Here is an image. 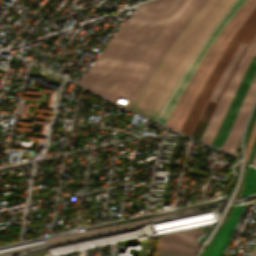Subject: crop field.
<instances>
[{
    "mask_svg": "<svg viewBox=\"0 0 256 256\" xmlns=\"http://www.w3.org/2000/svg\"><path fill=\"white\" fill-rule=\"evenodd\" d=\"M183 1L154 0L141 5L123 23L79 83L111 100Z\"/></svg>",
    "mask_w": 256,
    "mask_h": 256,
    "instance_id": "obj_1",
    "label": "crop field"
},
{
    "mask_svg": "<svg viewBox=\"0 0 256 256\" xmlns=\"http://www.w3.org/2000/svg\"><path fill=\"white\" fill-rule=\"evenodd\" d=\"M232 2H204L157 65L130 110L155 119L189 60Z\"/></svg>",
    "mask_w": 256,
    "mask_h": 256,
    "instance_id": "obj_2",
    "label": "crop field"
},
{
    "mask_svg": "<svg viewBox=\"0 0 256 256\" xmlns=\"http://www.w3.org/2000/svg\"><path fill=\"white\" fill-rule=\"evenodd\" d=\"M255 7L256 0H246L239 10L233 15L207 53L203 62L185 89L181 99L176 104L172 114L165 122V125L179 131L186 115L228 47L234 34L239 30L241 24L246 20Z\"/></svg>",
    "mask_w": 256,
    "mask_h": 256,
    "instance_id": "obj_3",
    "label": "crop field"
},
{
    "mask_svg": "<svg viewBox=\"0 0 256 256\" xmlns=\"http://www.w3.org/2000/svg\"><path fill=\"white\" fill-rule=\"evenodd\" d=\"M256 34V8L244 22L241 29L235 34L231 44L227 48L226 52L222 56L206 85L204 86L202 92L194 103L192 109L190 110L182 128L181 132L190 135L203 107L205 106L212 90L214 89L220 75L226 68L234 50L240 42L250 44L252 38ZM180 132V133H181Z\"/></svg>",
    "mask_w": 256,
    "mask_h": 256,
    "instance_id": "obj_4",
    "label": "crop field"
},
{
    "mask_svg": "<svg viewBox=\"0 0 256 256\" xmlns=\"http://www.w3.org/2000/svg\"><path fill=\"white\" fill-rule=\"evenodd\" d=\"M197 1L198 0H186L180 6V8L177 10V12L165 26V28L153 41L147 52L144 54V56L141 58V60L138 62L135 68L132 70L128 78L116 92L111 101L116 102L119 96L128 98V96L131 94V92L135 88L136 84L138 83L142 75L145 73V71L148 69L150 64L155 59V57L164 47L171 34L179 26L183 18L192 9V7L196 4Z\"/></svg>",
    "mask_w": 256,
    "mask_h": 256,
    "instance_id": "obj_5",
    "label": "crop field"
},
{
    "mask_svg": "<svg viewBox=\"0 0 256 256\" xmlns=\"http://www.w3.org/2000/svg\"><path fill=\"white\" fill-rule=\"evenodd\" d=\"M244 1L245 0H234V2L229 7L227 12L223 14L221 19L218 21L215 27L211 30V32L205 38L201 47L199 48L196 55L194 56L192 62L190 61L191 63L189 64L184 74L182 75V77L180 78V80L172 90L171 94L169 95L168 99L166 100L165 104L163 105L162 109L160 110L155 120L164 124L166 119L169 117L174 105L179 100L181 94L183 93L187 84L189 83L195 71L197 70L198 66L200 65L201 61L205 57L206 53L208 52V50L210 49L214 41L216 40L218 34L226 25L228 20L232 17V15L237 11V9L243 4Z\"/></svg>",
    "mask_w": 256,
    "mask_h": 256,
    "instance_id": "obj_6",
    "label": "crop field"
},
{
    "mask_svg": "<svg viewBox=\"0 0 256 256\" xmlns=\"http://www.w3.org/2000/svg\"><path fill=\"white\" fill-rule=\"evenodd\" d=\"M255 97H256V73L250 83L247 94L236 115L234 125L230 133L228 134L222 146V149L229 151L233 154L235 153L241 132L243 130L244 124L246 122L247 116L249 114V111L251 109V106L254 102Z\"/></svg>",
    "mask_w": 256,
    "mask_h": 256,
    "instance_id": "obj_7",
    "label": "crop field"
},
{
    "mask_svg": "<svg viewBox=\"0 0 256 256\" xmlns=\"http://www.w3.org/2000/svg\"><path fill=\"white\" fill-rule=\"evenodd\" d=\"M202 230L189 229L159 237L157 249L196 255L198 244L195 237Z\"/></svg>",
    "mask_w": 256,
    "mask_h": 256,
    "instance_id": "obj_8",
    "label": "crop field"
},
{
    "mask_svg": "<svg viewBox=\"0 0 256 256\" xmlns=\"http://www.w3.org/2000/svg\"><path fill=\"white\" fill-rule=\"evenodd\" d=\"M256 70V61L252 60L243 79H242V82L239 86V89L234 97V100H233V103L230 107V110L228 112V115L225 119V122L218 134V136L216 137L215 139V142L219 143L222 145L224 139L226 138L228 132H229V129L234 121V118H235V115H236V112L241 104V101L247 91V88L249 86V83L252 79V76L254 74Z\"/></svg>",
    "mask_w": 256,
    "mask_h": 256,
    "instance_id": "obj_9",
    "label": "crop field"
},
{
    "mask_svg": "<svg viewBox=\"0 0 256 256\" xmlns=\"http://www.w3.org/2000/svg\"><path fill=\"white\" fill-rule=\"evenodd\" d=\"M205 0H199L197 4L194 6V8L190 11V13L187 15V17L184 19V21L181 23L179 28L176 30L174 35L171 37V39L168 41L166 46L163 48L161 53L158 55V57L155 59V61L152 63V65L149 67L139 84L136 86L130 97L127 99L126 103L124 104V107L130 108L131 104L135 100L136 96L140 92V90L143 88L145 83L147 82L149 76L151 75L152 71L156 67V65L159 63L163 55L166 53L168 50L169 46L173 43V41L176 39L180 31L183 29V27L187 24V22L190 20V18L195 14V12L200 8V6L203 4Z\"/></svg>",
    "mask_w": 256,
    "mask_h": 256,
    "instance_id": "obj_10",
    "label": "crop field"
},
{
    "mask_svg": "<svg viewBox=\"0 0 256 256\" xmlns=\"http://www.w3.org/2000/svg\"><path fill=\"white\" fill-rule=\"evenodd\" d=\"M243 206H234L232 212L225 221V224L210 256H222Z\"/></svg>",
    "mask_w": 256,
    "mask_h": 256,
    "instance_id": "obj_11",
    "label": "crop field"
},
{
    "mask_svg": "<svg viewBox=\"0 0 256 256\" xmlns=\"http://www.w3.org/2000/svg\"><path fill=\"white\" fill-rule=\"evenodd\" d=\"M255 42H256V36L254 37L253 41L251 42V44H250L248 50H247V51L245 52V54L243 55V57H242V59H241L239 65H238V67H237V69H236V71H235V73H234V75H233V77H232V79H231V81H230V83H229L227 89L225 90L223 96L221 97V99H220V101H219V103H218V105H217V107H216V109H215V112H214V114H213V116H212V118H211V120H210V123H209V125H208V127H207L205 133L203 134V136H202V138H201V141L205 142V140H206V138H207V136H208V134H209V132H210V130H211V128H212V126H213V124H214V122H215L217 116H218V114H219V111H220V109H221V107H222V105H223V103H224V101H225V99H226V97H227V95H228V93H229L231 87H232V85H233V83H234V81H235V79H236V77H237V75H238V73H239V71H240V69H241L243 63L245 62V60H246V58H247V56H248L250 50H251L252 47L254 46Z\"/></svg>",
    "mask_w": 256,
    "mask_h": 256,
    "instance_id": "obj_12",
    "label": "crop field"
},
{
    "mask_svg": "<svg viewBox=\"0 0 256 256\" xmlns=\"http://www.w3.org/2000/svg\"><path fill=\"white\" fill-rule=\"evenodd\" d=\"M252 56L256 57V44L253 47L249 57L247 58V60H246V62L244 64V66H243V68H242V70H241V72H240V74H239V76H238V78H237V80H236V82H235L231 92L229 93V95H228V97H227V99H226V101H225V103H224V105H223V107H222V109L220 111V114H219V116L217 118V121H216V123H215V125H214V127H213V129H212V131L210 133V135L208 136V138L206 140V143L210 144V142H211V140H212V138H213V136H214V134H215V132H216V130H217V128H218V126H219V124H220V122H221V120H222V118H223V116H224V114H225V112L227 110V108H228V105H229V103L231 101V98H232V96L234 94V91H235V89H236V87H237V85H238V83H239V81H240V79H241V77H242V75H243L247 65L249 64Z\"/></svg>",
    "mask_w": 256,
    "mask_h": 256,
    "instance_id": "obj_13",
    "label": "crop field"
},
{
    "mask_svg": "<svg viewBox=\"0 0 256 256\" xmlns=\"http://www.w3.org/2000/svg\"><path fill=\"white\" fill-rule=\"evenodd\" d=\"M244 48H245V45H241L240 44L238 46V48L236 49V51L234 52V54H233V56H232V58H231V60H230V62L228 64L226 70L224 71V73L222 74L221 78L219 79V81H218V83H217V85H216V87H215V89H214V91H213L209 101L215 102L218 94L220 93L222 87L224 86L227 78L229 77L231 71L233 70V68H234L236 62L238 61L240 55L242 54Z\"/></svg>",
    "mask_w": 256,
    "mask_h": 256,
    "instance_id": "obj_14",
    "label": "crop field"
},
{
    "mask_svg": "<svg viewBox=\"0 0 256 256\" xmlns=\"http://www.w3.org/2000/svg\"><path fill=\"white\" fill-rule=\"evenodd\" d=\"M251 187V189H249ZM256 194V169L248 166L239 197Z\"/></svg>",
    "mask_w": 256,
    "mask_h": 256,
    "instance_id": "obj_15",
    "label": "crop field"
},
{
    "mask_svg": "<svg viewBox=\"0 0 256 256\" xmlns=\"http://www.w3.org/2000/svg\"><path fill=\"white\" fill-rule=\"evenodd\" d=\"M255 137H256V121H255V124L253 126L252 132L250 134L249 140L247 142V146H246V150H245V163L247 161V157H248V154L250 152V149L252 147V144L254 142Z\"/></svg>",
    "mask_w": 256,
    "mask_h": 256,
    "instance_id": "obj_16",
    "label": "crop field"
},
{
    "mask_svg": "<svg viewBox=\"0 0 256 256\" xmlns=\"http://www.w3.org/2000/svg\"><path fill=\"white\" fill-rule=\"evenodd\" d=\"M155 256H193V255H186V254H179V253H173V252H166V251H156Z\"/></svg>",
    "mask_w": 256,
    "mask_h": 256,
    "instance_id": "obj_17",
    "label": "crop field"
},
{
    "mask_svg": "<svg viewBox=\"0 0 256 256\" xmlns=\"http://www.w3.org/2000/svg\"><path fill=\"white\" fill-rule=\"evenodd\" d=\"M255 152H256V139H255V142H254L253 147L251 149V152L249 154V158H248V162L247 163L251 164V162H252V160L254 158Z\"/></svg>",
    "mask_w": 256,
    "mask_h": 256,
    "instance_id": "obj_18",
    "label": "crop field"
},
{
    "mask_svg": "<svg viewBox=\"0 0 256 256\" xmlns=\"http://www.w3.org/2000/svg\"><path fill=\"white\" fill-rule=\"evenodd\" d=\"M220 229H221V228H220ZM219 231H220V230H219ZM219 231H217L216 236H215V238H214V240H213V242H212V244H211V246H210V248H209V250H208L206 256H209V255H210L211 250H212V248H213V246H214V243H215V241H216V238H217V236H218V234H219Z\"/></svg>",
    "mask_w": 256,
    "mask_h": 256,
    "instance_id": "obj_19",
    "label": "crop field"
},
{
    "mask_svg": "<svg viewBox=\"0 0 256 256\" xmlns=\"http://www.w3.org/2000/svg\"><path fill=\"white\" fill-rule=\"evenodd\" d=\"M251 256H256V246H255V248H254V250H253Z\"/></svg>",
    "mask_w": 256,
    "mask_h": 256,
    "instance_id": "obj_20",
    "label": "crop field"
},
{
    "mask_svg": "<svg viewBox=\"0 0 256 256\" xmlns=\"http://www.w3.org/2000/svg\"><path fill=\"white\" fill-rule=\"evenodd\" d=\"M252 165L256 166V155H255V158H254V160L252 162Z\"/></svg>",
    "mask_w": 256,
    "mask_h": 256,
    "instance_id": "obj_21",
    "label": "crop field"
},
{
    "mask_svg": "<svg viewBox=\"0 0 256 256\" xmlns=\"http://www.w3.org/2000/svg\"><path fill=\"white\" fill-rule=\"evenodd\" d=\"M209 245H210V244H209ZM209 245L207 246V248L205 249V251L203 252V254H202L201 256H205L206 251H207V249H208Z\"/></svg>",
    "mask_w": 256,
    "mask_h": 256,
    "instance_id": "obj_22",
    "label": "crop field"
}]
</instances>
